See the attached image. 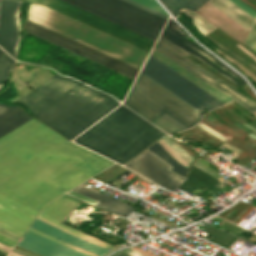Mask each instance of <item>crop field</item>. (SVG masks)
Masks as SVG:
<instances>
[{
    "instance_id": "5142ce71",
    "label": "crop field",
    "mask_w": 256,
    "mask_h": 256,
    "mask_svg": "<svg viewBox=\"0 0 256 256\" xmlns=\"http://www.w3.org/2000/svg\"><path fill=\"white\" fill-rule=\"evenodd\" d=\"M17 246L43 256H90L51 241L29 230H27L20 243H17Z\"/></svg>"
},
{
    "instance_id": "a9b5d70f",
    "label": "crop field",
    "mask_w": 256,
    "mask_h": 256,
    "mask_svg": "<svg viewBox=\"0 0 256 256\" xmlns=\"http://www.w3.org/2000/svg\"><path fill=\"white\" fill-rule=\"evenodd\" d=\"M147 150H149L156 156L160 157L161 159L172 165L173 167L170 169L171 171L177 172L183 175L184 177L186 176V172L188 169L178 164L175 160H173L171 156L160 146L158 142L151 145Z\"/></svg>"
},
{
    "instance_id": "92a150f3",
    "label": "crop field",
    "mask_w": 256,
    "mask_h": 256,
    "mask_svg": "<svg viewBox=\"0 0 256 256\" xmlns=\"http://www.w3.org/2000/svg\"><path fill=\"white\" fill-rule=\"evenodd\" d=\"M79 203V201L64 195L57 200L48 204L42 211V213L58 220L62 219L72 210V208Z\"/></svg>"
},
{
    "instance_id": "ac0d7876",
    "label": "crop field",
    "mask_w": 256,
    "mask_h": 256,
    "mask_svg": "<svg viewBox=\"0 0 256 256\" xmlns=\"http://www.w3.org/2000/svg\"><path fill=\"white\" fill-rule=\"evenodd\" d=\"M99 92L56 74L18 102L27 106L35 118L72 140L119 105Z\"/></svg>"
},
{
    "instance_id": "b80d0937",
    "label": "crop field",
    "mask_w": 256,
    "mask_h": 256,
    "mask_svg": "<svg viewBox=\"0 0 256 256\" xmlns=\"http://www.w3.org/2000/svg\"><path fill=\"white\" fill-rule=\"evenodd\" d=\"M0 246H1V247H4V248H7V249H9V250L11 249V248H9V247L3 245V244H0ZM0 250H2V251H4V252L8 253V251H6V250H4V249H1V248H0Z\"/></svg>"
},
{
    "instance_id": "b54c1fbb",
    "label": "crop field",
    "mask_w": 256,
    "mask_h": 256,
    "mask_svg": "<svg viewBox=\"0 0 256 256\" xmlns=\"http://www.w3.org/2000/svg\"><path fill=\"white\" fill-rule=\"evenodd\" d=\"M239 46L240 48H242L239 44L237 45ZM245 52H247L244 48H242ZM250 56L254 57L253 55H251L249 52H247ZM256 60V58H254Z\"/></svg>"
},
{
    "instance_id": "750c4746",
    "label": "crop field",
    "mask_w": 256,
    "mask_h": 256,
    "mask_svg": "<svg viewBox=\"0 0 256 256\" xmlns=\"http://www.w3.org/2000/svg\"><path fill=\"white\" fill-rule=\"evenodd\" d=\"M255 42H256V22L247 38L245 44H247L249 47L253 48Z\"/></svg>"
},
{
    "instance_id": "214f88e0",
    "label": "crop field",
    "mask_w": 256,
    "mask_h": 256,
    "mask_svg": "<svg viewBox=\"0 0 256 256\" xmlns=\"http://www.w3.org/2000/svg\"><path fill=\"white\" fill-rule=\"evenodd\" d=\"M209 3L245 27L247 30H250L255 19L233 5L228 0H211Z\"/></svg>"
},
{
    "instance_id": "28ad6ade",
    "label": "crop field",
    "mask_w": 256,
    "mask_h": 256,
    "mask_svg": "<svg viewBox=\"0 0 256 256\" xmlns=\"http://www.w3.org/2000/svg\"><path fill=\"white\" fill-rule=\"evenodd\" d=\"M125 166L172 191L186 179L171 172L169 169L172 166L160 160L147 150L131 160Z\"/></svg>"
},
{
    "instance_id": "4177f3b9",
    "label": "crop field",
    "mask_w": 256,
    "mask_h": 256,
    "mask_svg": "<svg viewBox=\"0 0 256 256\" xmlns=\"http://www.w3.org/2000/svg\"><path fill=\"white\" fill-rule=\"evenodd\" d=\"M164 137H165L169 142H171V143H172L183 155H185L191 162L194 160V159H193L189 154H187L177 143H175L168 135H165ZM164 137L162 138V140H163L173 151H175V152L189 165L191 162H190L186 157H184V156H183L172 144H170ZM160 140H161V139H160ZM160 140H159V141H160ZM162 140H161V141H162ZM161 141H160V142H161ZM163 141H162V142H163ZM162 142H161V143H162ZM164 142H163V143H164ZM163 143H162V144H163ZM165 143H164V144H165ZM166 144H165V145H166ZM167 145H166V146H167ZM161 146H162V145H161ZM163 146H164V145H163ZM163 146H162V147H163ZM164 147H165V146H164ZM164 147H163V148H164ZM167 148H168V147H167ZM164 149L172 156L173 159H175L176 161L179 160V159L173 154V155L178 159V160H177L166 148H164ZM168 149H169V148H168ZM169 150H170V149H169ZM170 151H171V150H170ZM171 152H172V151H171ZM172 153H173V152H172ZM176 153H175V154H176ZM177 154H176V155H177ZM178 155H177V156H178ZM179 156H178V157H179ZM180 157H179V158H180ZM181 158H180V159H181ZM181 161H182V160H181ZM178 162H180V161H178ZM182 162H183V161H182ZM180 163H181V162H180ZM181 164H182V163H181ZM183 164H184V163H183ZM183 164H182V165H183ZM184 165H185V164H184ZM185 166H186V165H185ZM186 167H187V166H186Z\"/></svg>"
},
{
    "instance_id": "e52e79f7",
    "label": "crop field",
    "mask_w": 256,
    "mask_h": 256,
    "mask_svg": "<svg viewBox=\"0 0 256 256\" xmlns=\"http://www.w3.org/2000/svg\"><path fill=\"white\" fill-rule=\"evenodd\" d=\"M141 72L203 114L204 108L210 110L225 104L150 55Z\"/></svg>"
},
{
    "instance_id": "cbeb9de0",
    "label": "crop field",
    "mask_w": 256,
    "mask_h": 256,
    "mask_svg": "<svg viewBox=\"0 0 256 256\" xmlns=\"http://www.w3.org/2000/svg\"><path fill=\"white\" fill-rule=\"evenodd\" d=\"M164 37H166L167 39L171 40L172 42H174L175 44H177L178 46L182 47L183 49H185L186 51L190 52L191 54L195 55L196 57H198L200 60H202L203 62L207 63L208 65H210L212 68H214L216 71H218L220 74H222L223 76H225L227 79H229L230 81L234 82L237 85H242V83L238 82L237 80H235L234 78L230 77L229 75H227L226 73H224L222 70H220L218 67L220 66L221 68H223L225 71H227L229 74H231L232 76H234L235 78H237L238 80H240L241 82H243L244 84H246V82L243 80V78L241 76H239L238 74H236L235 72L229 70L227 67H225L223 64L219 63L216 59H214L213 57H211L210 55H208L206 52H204L203 50H201L200 48H198L197 46H195L194 44H192L190 41L184 39L182 36H186L188 37L182 30L181 28L170 18L167 25L165 26L162 34ZM189 38V37H188ZM184 42L185 44H187L188 46L192 47L193 49H195L196 51L200 52L201 54H203L204 56H206L207 58H209L211 61H213L214 63H216L217 65H219L218 67H216L214 64H212L211 62H209L205 57L201 56L200 54H198L196 51H194L193 49H191L190 47L186 46L185 44H183L182 42Z\"/></svg>"
},
{
    "instance_id": "c035e120",
    "label": "crop field",
    "mask_w": 256,
    "mask_h": 256,
    "mask_svg": "<svg viewBox=\"0 0 256 256\" xmlns=\"http://www.w3.org/2000/svg\"><path fill=\"white\" fill-rule=\"evenodd\" d=\"M223 145H225V146H227V147H229V148H231V149H233V150H235V151H237V152H239V153L242 151V150H241V151H239L240 149H239V150H237L238 148H237V149H235V148H233V147H231V146H229V145H227V144H225V143H223ZM239 153H238V154H239Z\"/></svg>"
},
{
    "instance_id": "bc2a9ffb",
    "label": "crop field",
    "mask_w": 256,
    "mask_h": 256,
    "mask_svg": "<svg viewBox=\"0 0 256 256\" xmlns=\"http://www.w3.org/2000/svg\"><path fill=\"white\" fill-rule=\"evenodd\" d=\"M72 191L80 193L82 195H85V196L99 202L97 205L98 207L106 208V209H108L112 212H115L119 215H122L124 217H126V215L128 213H130L132 210L131 207H129L117 200H114L106 195H103L97 191H93L90 188H87L83 185L73 189Z\"/></svg>"
},
{
    "instance_id": "5a996713",
    "label": "crop field",
    "mask_w": 256,
    "mask_h": 256,
    "mask_svg": "<svg viewBox=\"0 0 256 256\" xmlns=\"http://www.w3.org/2000/svg\"><path fill=\"white\" fill-rule=\"evenodd\" d=\"M26 31L35 34L41 38H44L50 42H53L59 46H62L68 50H71L77 54H80L88 59H91L97 63H100L106 67H109L115 71H118L131 78H135L138 69L122 63L116 59L106 56L100 52L90 49L84 45H81L75 41L65 38L59 34L49 31L43 27L33 24L26 20Z\"/></svg>"
},
{
    "instance_id": "d3111659",
    "label": "crop field",
    "mask_w": 256,
    "mask_h": 256,
    "mask_svg": "<svg viewBox=\"0 0 256 256\" xmlns=\"http://www.w3.org/2000/svg\"><path fill=\"white\" fill-rule=\"evenodd\" d=\"M229 1H231L233 4H235L236 6L241 8L243 11H245L246 13L251 15L253 18H256V11H254L250 7L246 6L241 1H239V0H229Z\"/></svg>"
},
{
    "instance_id": "5d738f31",
    "label": "crop field",
    "mask_w": 256,
    "mask_h": 256,
    "mask_svg": "<svg viewBox=\"0 0 256 256\" xmlns=\"http://www.w3.org/2000/svg\"><path fill=\"white\" fill-rule=\"evenodd\" d=\"M10 255H13V256H22L20 254H16V253H13V252H10Z\"/></svg>"
},
{
    "instance_id": "dd49c442",
    "label": "crop field",
    "mask_w": 256,
    "mask_h": 256,
    "mask_svg": "<svg viewBox=\"0 0 256 256\" xmlns=\"http://www.w3.org/2000/svg\"><path fill=\"white\" fill-rule=\"evenodd\" d=\"M156 41L165 20L121 0H64Z\"/></svg>"
},
{
    "instance_id": "d8731c3e",
    "label": "crop field",
    "mask_w": 256,
    "mask_h": 256,
    "mask_svg": "<svg viewBox=\"0 0 256 256\" xmlns=\"http://www.w3.org/2000/svg\"><path fill=\"white\" fill-rule=\"evenodd\" d=\"M27 2L41 3L42 5L87 24L93 28L110 34L116 38L133 44L149 52L154 41L67 4L61 0H23Z\"/></svg>"
},
{
    "instance_id": "1d83c4d3",
    "label": "crop field",
    "mask_w": 256,
    "mask_h": 256,
    "mask_svg": "<svg viewBox=\"0 0 256 256\" xmlns=\"http://www.w3.org/2000/svg\"><path fill=\"white\" fill-rule=\"evenodd\" d=\"M192 165L198 167L199 169L205 171L206 173H208V174H210V175H212V176H214L216 178L220 176L217 173H215L213 170H211L209 167H207V166H205V165H203V164H201V163H199L197 161L194 162Z\"/></svg>"
},
{
    "instance_id": "c21b1889",
    "label": "crop field",
    "mask_w": 256,
    "mask_h": 256,
    "mask_svg": "<svg viewBox=\"0 0 256 256\" xmlns=\"http://www.w3.org/2000/svg\"><path fill=\"white\" fill-rule=\"evenodd\" d=\"M13 251H15V252H18V253H20V254H24V255H27V256H32V255H29V254H26V253H24V252H21V251H17V250H14V249H13Z\"/></svg>"
},
{
    "instance_id": "412701ff",
    "label": "crop field",
    "mask_w": 256,
    "mask_h": 256,
    "mask_svg": "<svg viewBox=\"0 0 256 256\" xmlns=\"http://www.w3.org/2000/svg\"><path fill=\"white\" fill-rule=\"evenodd\" d=\"M31 5L32 4L30 3L29 8L27 10V17H26L27 20H28L29 9H30ZM29 19L34 22H37L41 25H44L48 28L56 30L60 33H63L67 36H70L74 39H77L78 41H80L82 43H85L91 47H94L98 50L108 53L114 57L124 60L130 64L137 66V67H139L142 59L144 58V56L146 54V52L141 49H138L132 45H129L123 41H120L114 37H111L105 33H102L96 29H93V28H91L87 25H84L80 22H77L71 18H68L64 15L57 13V12H54V11H52L48 8H45L41 5H36V4L32 5V7L30 9ZM63 34H61V35H63ZM70 37H68V38H70ZM147 54H146V56H147ZM146 56H145V58H146ZM145 58H144V60H145ZM144 60L142 61L141 65L143 64ZM141 65H140V67H141ZM140 67H139V69H140Z\"/></svg>"
},
{
    "instance_id": "3316defc",
    "label": "crop field",
    "mask_w": 256,
    "mask_h": 256,
    "mask_svg": "<svg viewBox=\"0 0 256 256\" xmlns=\"http://www.w3.org/2000/svg\"><path fill=\"white\" fill-rule=\"evenodd\" d=\"M158 40H160L161 42H163L164 44H166L167 46H169L170 48H172L173 50H175L176 52H178L179 54H181L184 57L189 54V53L185 52L184 50H182L181 48L174 45L173 43H171L170 41H168L166 38H164L161 35ZM160 41H157L154 49H156L157 51H159L160 53H162L163 55H165L166 57H168L169 59H171L172 61H174L175 63H177L178 65H180L181 67H183L184 69H186L187 71L192 73L193 75H195L196 77L204 80L205 82L211 84L212 86L216 87L217 89H219L222 92L226 93L227 95L231 96L235 100L239 101L244 106H246L248 109H250L252 112L256 111V103H254L252 100H250L247 97H245L244 95L240 94L239 92H237L236 90H234L233 88H231L230 86L225 84L224 82H222V81L218 80L217 78L213 77L212 75L206 73L201 68L196 66L194 63L188 61L187 59H185L184 57H182L181 55H179L178 53H176L175 51H173L172 49H170L169 47H167ZM216 83L229 89L230 91L234 92L238 96L227 91L226 89L220 87Z\"/></svg>"
},
{
    "instance_id": "00972430",
    "label": "crop field",
    "mask_w": 256,
    "mask_h": 256,
    "mask_svg": "<svg viewBox=\"0 0 256 256\" xmlns=\"http://www.w3.org/2000/svg\"><path fill=\"white\" fill-rule=\"evenodd\" d=\"M37 218H39V219H41V220H43V221H45V222L55 226V227H58V228L66 231V232H68L70 234H73L75 236L81 237V238L86 239V240H90V241H92V242H94L96 244H99L102 247L107 248V249H109V248L113 249V246H111V245H109V244H107V243H105V242H103V241H101V240H99V239H97L95 237L83 234L84 232L81 233V232H79V231H77V230H75L73 228H70V227H68L66 225H63V224H61V223H59V222H57V221H55V220H53V219L43 215V214H40Z\"/></svg>"
},
{
    "instance_id": "22f410ed",
    "label": "crop field",
    "mask_w": 256,
    "mask_h": 256,
    "mask_svg": "<svg viewBox=\"0 0 256 256\" xmlns=\"http://www.w3.org/2000/svg\"><path fill=\"white\" fill-rule=\"evenodd\" d=\"M21 2L2 0L0 8V47L16 59L19 42V8Z\"/></svg>"
},
{
    "instance_id": "89e229c0",
    "label": "crop field",
    "mask_w": 256,
    "mask_h": 256,
    "mask_svg": "<svg viewBox=\"0 0 256 256\" xmlns=\"http://www.w3.org/2000/svg\"><path fill=\"white\" fill-rule=\"evenodd\" d=\"M10 256V255H9Z\"/></svg>"
},
{
    "instance_id": "d1516ede",
    "label": "crop field",
    "mask_w": 256,
    "mask_h": 256,
    "mask_svg": "<svg viewBox=\"0 0 256 256\" xmlns=\"http://www.w3.org/2000/svg\"><path fill=\"white\" fill-rule=\"evenodd\" d=\"M39 212L0 193V227L21 237Z\"/></svg>"
},
{
    "instance_id": "03da06ac",
    "label": "crop field",
    "mask_w": 256,
    "mask_h": 256,
    "mask_svg": "<svg viewBox=\"0 0 256 256\" xmlns=\"http://www.w3.org/2000/svg\"><path fill=\"white\" fill-rule=\"evenodd\" d=\"M113 256H129V255H126V254L120 252V253H118L116 255H113Z\"/></svg>"
},
{
    "instance_id": "120bbe31",
    "label": "crop field",
    "mask_w": 256,
    "mask_h": 256,
    "mask_svg": "<svg viewBox=\"0 0 256 256\" xmlns=\"http://www.w3.org/2000/svg\"><path fill=\"white\" fill-rule=\"evenodd\" d=\"M67 194H69V195H71V196H73V197H75V198H77V199H79V200H81V201H83V202L89 203V204H91V205L96 206V204H97V202H95V201H93V200H91V199H89V198H87V197H84V196H82V195L73 193V192H71V191L68 192Z\"/></svg>"
},
{
    "instance_id": "5866460e",
    "label": "crop field",
    "mask_w": 256,
    "mask_h": 256,
    "mask_svg": "<svg viewBox=\"0 0 256 256\" xmlns=\"http://www.w3.org/2000/svg\"><path fill=\"white\" fill-rule=\"evenodd\" d=\"M0 242L5 244V245H7V246H9V247H11V248L16 243V241H14V240H12V239H10V238L2 235V234H0Z\"/></svg>"
},
{
    "instance_id": "425ffa30",
    "label": "crop field",
    "mask_w": 256,
    "mask_h": 256,
    "mask_svg": "<svg viewBox=\"0 0 256 256\" xmlns=\"http://www.w3.org/2000/svg\"><path fill=\"white\" fill-rule=\"evenodd\" d=\"M3 87H4V85H0V91L2 90Z\"/></svg>"
},
{
    "instance_id": "8a807250",
    "label": "crop field",
    "mask_w": 256,
    "mask_h": 256,
    "mask_svg": "<svg viewBox=\"0 0 256 256\" xmlns=\"http://www.w3.org/2000/svg\"><path fill=\"white\" fill-rule=\"evenodd\" d=\"M112 164L33 118L0 138V191L42 210Z\"/></svg>"
},
{
    "instance_id": "e1f06a70",
    "label": "crop field",
    "mask_w": 256,
    "mask_h": 256,
    "mask_svg": "<svg viewBox=\"0 0 256 256\" xmlns=\"http://www.w3.org/2000/svg\"><path fill=\"white\" fill-rule=\"evenodd\" d=\"M0 233L6 235V236H8V237H10V238H12V239H14V240H16V241L19 239V237H17V236H15V235H13V234H11V233H9V232H7V231L1 229V228H0Z\"/></svg>"
},
{
    "instance_id": "d23c7cc5",
    "label": "crop field",
    "mask_w": 256,
    "mask_h": 256,
    "mask_svg": "<svg viewBox=\"0 0 256 256\" xmlns=\"http://www.w3.org/2000/svg\"><path fill=\"white\" fill-rule=\"evenodd\" d=\"M0 256H6V253L0 251Z\"/></svg>"
},
{
    "instance_id": "f4fd0767",
    "label": "crop field",
    "mask_w": 256,
    "mask_h": 256,
    "mask_svg": "<svg viewBox=\"0 0 256 256\" xmlns=\"http://www.w3.org/2000/svg\"><path fill=\"white\" fill-rule=\"evenodd\" d=\"M124 104L149 121L166 112L188 128L203 115L141 72Z\"/></svg>"
},
{
    "instance_id": "ae1a2a85",
    "label": "crop field",
    "mask_w": 256,
    "mask_h": 256,
    "mask_svg": "<svg viewBox=\"0 0 256 256\" xmlns=\"http://www.w3.org/2000/svg\"><path fill=\"white\" fill-rule=\"evenodd\" d=\"M138 3H141L147 7H150L158 12H161L167 16H169L164 10L163 8L156 2V0H134Z\"/></svg>"
},
{
    "instance_id": "34b2d1b8",
    "label": "crop field",
    "mask_w": 256,
    "mask_h": 256,
    "mask_svg": "<svg viewBox=\"0 0 256 256\" xmlns=\"http://www.w3.org/2000/svg\"><path fill=\"white\" fill-rule=\"evenodd\" d=\"M163 135L164 132L121 105L74 141L124 164Z\"/></svg>"
},
{
    "instance_id": "25e5ab78",
    "label": "crop field",
    "mask_w": 256,
    "mask_h": 256,
    "mask_svg": "<svg viewBox=\"0 0 256 256\" xmlns=\"http://www.w3.org/2000/svg\"><path fill=\"white\" fill-rule=\"evenodd\" d=\"M253 50H255V51H256V44H255V46H254Z\"/></svg>"
},
{
    "instance_id": "028f5c9d",
    "label": "crop field",
    "mask_w": 256,
    "mask_h": 256,
    "mask_svg": "<svg viewBox=\"0 0 256 256\" xmlns=\"http://www.w3.org/2000/svg\"><path fill=\"white\" fill-rule=\"evenodd\" d=\"M124 1H127V2H129V3L133 4V5H136V6L140 7V8H143V9H145V10H147V11H149V12H152V13H154V14H156V15H159V16L165 18V19L167 18V16H165V15H163V14H161V13H158V12L152 10V9H149V8H147V7H145V6H142V5H140V4L136 3V2H133V1H131V0H124Z\"/></svg>"
},
{
    "instance_id": "730fd06b",
    "label": "crop field",
    "mask_w": 256,
    "mask_h": 256,
    "mask_svg": "<svg viewBox=\"0 0 256 256\" xmlns=\"http://www.w3.org/2000/svg\"><path fill=\"white\" fill-rule=\"evenodd\" d=\"M182 12H185L186 15L190 16L194 25L197 27V29L202 33V35H206L207 33H209L211 30H213L214 27L212 24H210L209 22H207L205 19H203L202 17H200L198 14L185 10L183 9Z\"/></svg>"
},
{
    "instance_id": "733c2abd",
    "label": "crop field",
    "mask_w": 256,
    "mask_h": 256,
    "mask_svg": "<svg viewBox=\"0 0 256 256\" xmlns=\"http://www.w3.org/2000/svg\"><path fill=\"white\" fill-rule=\"evenodd\" d=\"M31 118L19 106H8L0 103V137Z\"/></svg>"
},
{
    "instance_id": "bd1437ed",
    "label": "crop field",
    "mask_w": 256,
    "mask_h": 256,
    "mask_svg": "<svg viewBox=\"0 0 256 256\" xmlns=\"http://www.w3.org/2000/svg\"><path fill=\"white\" fill-rule=\"evenodd\" d=\"M29 230H31V231H33V232H36V233H38V234H40V235H42V236H45V237H47V238H49V239H51V240H54V241H56V242H59V243L64 244V245H66V246H69V247H71V248L77 249V250H79V251L85 252V253L90 254V255H93V256H98V255H96V254H94V253H92V252H89V251H86V250H83V249L74 247V246H72V245L63 243V242H61V241H58V240H56V239H54V238H52V237H50V236H48V235H46V234L40 233V232L35 231V230L31 229V228H29Z\"/></svg>"
},
{
    "instance_id": "d32e631a",
    "label": "crop field",
    "mask_w": 256,
    "mask_h": 256,
    "mask_svg": "<svg viewBox=\"0 0 256 256\" xmlns=\"http://www.w3.org/2000/svg\"><path fill=\"white\" fill-rule=\"evenodd\" d=\"M161 117H163L164 119H166L167 121H169L170 123H172L173 125H175L176 127H178L181 130L186 129L185 126H183L181 123H179L178 121H176L175 119H173L171 116H169L166 113L163 114Z\"/></svg>"
},
{
    "instance_id": "eef30255",
    "label": "crop field",
    "mask_w": 256,
    "mask_h": 256,
    "mask_svg": "<svg viewBox=\"0 0 256 256\" xmlns=\"http://www.w3.org/2000/svg\"><path fill=\"white\" fill-rule=\"evenodd\" d=\"M14 62L15 61L10 56L0 49V84L6 82Z\"/></svg>"
},
{
    "instance_id": "0bd39190",
    "label": "crop field",
    "mask_w": 256,
    "mask_h": 256,
    "mask_svg": "<svg viewBox=\"0 0 256 256\" xmlns=\"http://www.w3.org/2000/svg\"><path fill=\"white\" fill-rule=\"evenodd\" d=\"M234 125L239 127V128H241V129H243V130H245V131H247V132H250V130L246 129L245 127H243L242 125H240L238 123H235Z\"/></svg>"
},
{
    "instance_id": "73cf0c24",
    "label": "crop field",
    "mask_w": 256,
    "mask_h": 256,
    "mask_svg": "<svg viewBox=\"0 0 256 256\" xmlns=\"http://www.w3.org/2000/svg\"><path fill=\"white\" fill-rule=\"evenodd\" d=\"M253 115H255V116H256V113H253Z\"/></svg>"
},
{
    "instance_id": "d9b57169",
    "label": "crop field",
    "mask_w": 256,
    "mask_h": 256,
    "mask_svg": "<svg viewBox=\"0 0 256 256\" xmlns=\"http://www.w3.org/2000/svg\"><path fill=\"white\" fill-rule=\"evenodd\" d=\"M31 228L36 229L38 231H41L43 233H46L48 235H51L53 237H56L66 243L73 244L76 246H79L81 248L87 249L89 251H92L100 256L108 253L109 251L88 241H84L80 238H77L73 235H70L62 230H59L39 219L36 218L34 223L31 225Z\"/></svg>"
},
{
    "instance_id": "4a817a6b",
    "label": "crop field",
    "mask_w": 256,
    "mask_h": 256,
    "mask_svg": "<svg viewBox=\"0 0 256 256\" xmlns=\"http://www.w3.org/2000/svg\"><path fill=\"white\" fill-rule=\"evenodd\" d=\"M150 55H152L153 57H155L156 59H158L159 61H161L162 63H164L165 65H167L168 67H170L171 69H173L174 71H176L177 73L185 77L186 79H188L189 81L201 87L205 91L221 99L222 101L227 103L234 100L229 96L225 95L224 93H222L221 91L217 90L216 88L212 87L211 85L196 78L195 76H193L192 74H190L189 72H187L186 70H184L183 68H181L180 66H178L177 64H175L174 62H172L162 54H160L159 52H157L156 50L153 49Z\"/></svg>"
},
{
    "instance_id": "dafd665d",
    "label": "crop field",
    "mask_w": 256,
    "mask_h": 256,
    "mask_svg": "<svg viewBox=\"0 0 256 256\" xmlns=\"http://www.w3.org/2000/svg\"><path fill=\"white\" fill-rule=\"evenodd\" d=\"M162 4L176 17L182 7L196 11L208 0H160Z\"/></svg>"
}]
</instances>
